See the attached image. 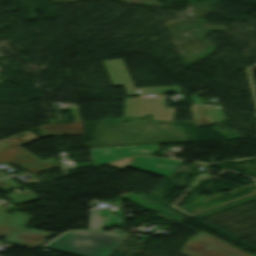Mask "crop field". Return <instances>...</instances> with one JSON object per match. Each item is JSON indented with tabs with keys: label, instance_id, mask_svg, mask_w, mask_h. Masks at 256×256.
I'll return each mask as SVG.
<instances>
[{
	"label": "crop field",
	"instance_id": "5142ce71",
	"mask_svg": "<svg viewBox=\"0 0 256 256\" xmlns=\"http://www.w3.org/2000/svg\"><path fill=\"white\" fill-rule=\"evenodd\" d=\"M15 138H17L18 140H20L21 142H23V143H28L26 140H24V139H22L20 136H18V135H16V136H14Z\"/></svg>",
	"mask_w": 256,
	"mask_h": 256
},
{
	"label": "crop field",
	"instance_id": "3316defc",
	"mask_svg": "<svg viewBox=\"0 0 256 256\" xmlns=\"http://www.w3.org/2000/svg\"><path fill=\"white\" fill-rule=\"evenodd\" d=\"M9 199L11 200L12 203L16 205H20V204L32 202L35 200H39L40 197H38L32 191L28 190L19 194L9 196Z\"/></svg>",
	"mask_w": 256,
	"mask_h": 256
},
{
	"label": "crop field",
	"instance_id": "28ad6ade",
	"mask_svg": "<svg viewBox=\"0 0 256 256\" xmlns=\"http://www.w3.org/2000/svg\"><path fill=\"white\" fill-rule=\"evenodd\" d=\"M209 124L226 120L220 108L202 106Z\"/></svg>",
	"mask_w": 256,
	"mask_h": 256
},
{
	"label": "crop field",
	"instance_id": "dd49c442",
	"mask_svg": "<svg viewBox=\"0 0 256 256\" xmlns=\"http://www.w3.org/2000/svg\"><path fill=\"white\" fill-rule=\"evenodd\" d=\"M113 86L124 85L128 95L181 92L179 86L135 89L121 59L103 62Z\"/></svg>",
	"mask_w": 256,
	"mask_h": 256
},
{
	"label": "crop field",
	"instance_id": "34b2d1b8",
	"mask_svg": "<svg viewBox=\"0 0 256 256\" xmlns=\"http://www.w3.org/2000/svg\"><path fill=\"white\" fill-rule=\"evenodd\" d=\"M22 145L24 144L13 137L0 141V164L10 162L34 174L58 167L55 158L43 161L20 147ZM2 177L6 175L0 171V178Z\"/></svg>",
	"mask_w": 256,
	"mask_h": 256
},
{
	"label": "crop field",
	"instance_id": "5a996713",
	"mask_svg": "<svg viewBox=\"0 0 256 256\" xmlns=\"http://www.w3.org/2000/svg\"><path fill=\"white\" fill-rule=\"evenodd\" d=\"M81 123L73 124H55L40 127L43 137L47 136H68V135H84Z\"/></svg>",
	"mask_w": 256,
	"mask_h": 256
},
{
	"label": "crop field",
	"instance_id": "412701ff",
	"mask_svg": "<svg viewBox=\"0 0 256 256\" xmlns=\"http://www.w3.org/2000/svg\"><path fill=\"white\" fill-rule=\"evenodd\" d=\"M180 253L185 256H249L203 232L191 237Z\"/></svg>",
	"mask_w": 256,
	"mask_h": 256
},
{
	"label": "crop field",
	"instance_id": "cbeb9de0",
	"mask_svg": "<svg viewBox=\"0 0 256 256\" xmlns=\"http://www.w3.org/2000/svg\"><path fill=\"white\" fill-rule=\"evenodd\" d=\"M25 136L22 137L30 142L41 139V138H37V136H35L34 134L27 132V133H23Z\"/></svg>",
	"mask_w": 256,
	"mask_h": 256
},
{
	"label": "crop field",
	"instance_id": "e52e79f7",
	"mask_svg": "<svg viewBox=\"0 0 256 256\" xmlns=\"http://www.w3.org/2000/svg\"><path fill=\"white\" fill-rule=\"evenodd\" d=\"M90 149L95 167L134 155L152 156L155 152H159L158 144Z\"/></svg>",
	"mask_w": 256,
	"mask_h": 256
},
{
	"label": "crop field",
	"instance_id": "d1516ede",
	"mask_svg": "<svg viewBox=\"0 0 256 256\" xmlns=\"http://www.w3.org/2000/svg\"><path fill=\"white\" fill-rule=\"evenodd\" d=\"M192 108H193L197 126L208 124L202 107L201 106H192Z\"/></svg>",
	"mask_w": 256,
	"mask_h": 256
},
{
	"label": "crop field",
	"instance_id": "22f410ed",
	"mask_svg": "<svg viewBox=\"0 0 256 256\" xmlns=\"http://www.w3.org/2000/svg\"><path fill=\"white\" fill-rule=\"evenodd\" d=\"M20 186L21 185H19L17 182H15L11 178L0 181V189L3 191L10 190V189L20 187Z\"/></svg>",
	"mask_w": 256,
	"mask_h": 256
},
{
	"label": "crop field",
	"instance_id": "8a807250",
	"mask_svg": "<svg viewBox=\"0 0 256 256\" xmlns=\"http://www.w3.org/2000/svg\"><path fill=\"white\" fill-rule=\"evenodd\" d=\"M109 216L103 219L100 211H90L89 231H69L45 249L71 254L75 256H109L120 240L123 231L112 228L109 232L103 231L108 227Z\"/></svg>",
	"mask_w": 256,
	"mask_h": 256
},
{
	"label": "crop field",
	"instance_id": "f4fd0767",
	"mask_svg": "<svg viewBox=\"0 0 256 256\" xmlns=\"http://www.w3.org/2000/svg\"><path fill=\"white\" fill-rule=\"evenodd\" d=\"M164 97L126 99L124 117L153 114V120L173 121L175 108Z\"/></svg>",
	"mask_w": 256,
	"mask_h": 256
},
{
	"label": "crop field",
	"instance_id": "ac0d7876",
	"mask_svg": "<svg viewBox=\"0 0 256 256\" xmlns=\"http://www.w3.org/2000/svg\"><path fill=\"white\" fill-rule=\"evenodd\" d=\"M31 220L32 218L24 213L15 212L14 214L10 215L0 211V229L19 233V234H15V233L0 230V237L7 238L3 242L21 245V246H25L33 249H36L46 244L48 241L20 235V234H24V235L46 239L51 234H53L49 232L32 229V228L30 229L23 228Z\"/></svg>",
	"mask_w": 256,
	"mask_h": 256
},
{
	"label": "crop field",
	"instance_id": "d8731c3e",
	"mask_svg": "<svg viewBox=\"0 0 256 256\" xmlns=\"http://www.w3.org/2000/svg\"><path fill=\"white\" fill-rule=\"evenodd\" d=\"M131 158L109 164L123 169L124 167H132L138 170L156 174L168 178L182 163L183 161L150 158V157H135V160L127 165Z\"/></svg>",
	"mask_w": 256,
	"mask_h": 256
}]
</instances>
